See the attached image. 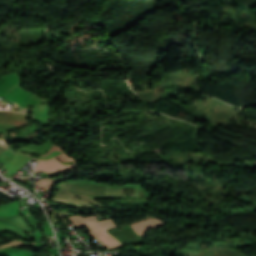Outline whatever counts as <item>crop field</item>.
I'll use <instances>...</instances> for the list:
<instances>
[{
    "label": "crop field",
    "instance_id": "1",
    "mask_svg": "<svg viewBox=\"0 0 256 256\" xmlns=\"http://www.w3.org/2000/svg\"><path fill=\"white\" fill-rule=\"evenodd\" d=\"M69 218L76 225L77 228L85 225L90 231L88 233H90L92 236L102 242L109 249L122 246L118 241H116L110 234L105 231L110 227L114 226L111 220L97 222L95 217L82 218L81 216H72Z\"/></svg>",
    "mask_w": 256,
    "mask_h": 256
},
{
    "label": "crop field",
    "instance_id": "4",
    "mask_svg": "<svg viewBox=\"0 0 256 256\" xmlns=\"http://www.w3.org/2000/svg\"><path fill=\"white\" fill-rule=\"evenodd\" d=\"M163 224H164L163 222L159 221L156 218H153V219H149V220L131 224V226L135 230L136 233L141 235L145 231H147L153 227L161 226Z\"/></svg>",
    "mask_w": 256,
    "mask_h": 256
},
{
    "label": "crop field",
    "instance_id": "5",
    "mask_svg": "<svg viewBox=\"0 0 256 256\" xmlns=\"http://www.w3.org/2000/svg\"><path fill=\"white\" fill-rule=\"evenodd\" d=\"M122 188H111L110 187V192L112 194H121ZM122 194L126 195H134V189H128V188H123Z\"/></svg>",
    "mask_w": 256,
    "mask_h": 256
},
{
    "label": "crop field",
    "instance_id": "3",
    "mask_svg": "<svg viewBox=\"0 0 256 256\" xmlns=\"http://www.w3.org/2000/svg\"><path fill=\"white\" fill-rule=\"evenodd\" d=\"M0 122L19 126H24L28 124V122L25 120L24 115L8 111H0Z\"/></svg>",
    "mask_w": 256,
    "mask_h": 256
},
{
    "label": "crop field",
    "instance_id": "2",
    "mask_svg": "<svg viewBox=\"0 0 256 256\" xmlns=\"http://www.w3.org/2000/svg\"><path fill=\"white\" fill-rule=\"evenodd\" d=\"M68 168H74V165H64L59 163L55 158L49 159L46 161H38V164L34 170V172L42 169L47 172L56 171V170H62V169H68Z\"/></svg>",
    "mask_w": 256,
    "mask_h": 256
},
{
    "label": "crop field",
    "instance_id": "6",
    "mask_svg": "<svg viewBox=\"0 0 256 256\" xmlns=\"http://www.w3.org/2000/svg\"><path fill=\"white\" fill-rule=\"evenodd\" d=\"M32 108H33V105L29 107L28 115H29V114H31V112H32Z\"/></svg>",
    "mask_w": 256,
    "mask_h": 256
}]
</instances>
